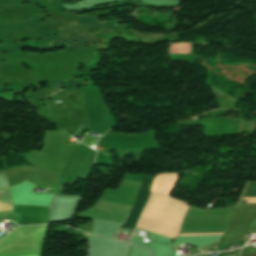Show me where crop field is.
I'll use <instances>...</instances> for the list:
<instances>
[{
    "label": "crop field",
    "mask_w": 256,
    "mask_h": 256,
    "mask_svg": "<svg viewBox=\"0 0 256 256\" xmlns=\"http://www.w3.org/2000/svg\"><path fill=\"white\" fill-rule=\"evenodd\" d=\"M150 179H151L150 176H146V175L143 176L142 184L138 191L132 210L126 220V223L122 225V227H131V228L135 227L138 217L140 215V212L143 209L144 204L146 202V198L148 194V185H149Z\"/></svg>",
    "instance_id": "8a807250"
},
{
    "label": "crop field",
    "mask_w": 256,
    "mask_h": 256,
    "mask_svg": "<svg viewBox=\"0 0 256 256\" xmlns=\"http://www.w3.org/2000/svg\"><path fill=\"white\" fill-rule=\"evenodd\" d=\"M170 56L172 60H186L191 62L192 61L191 44L189 43L171 44Z\"/></svg>",
    "instance_id": "ac0d7876"
},
{
    "label": "crop field",
    "mask_w": 256,
    "mask_h": 256,
    "mask_svg": "<svg viewBox=\"0 0 256 256\" xmlns=\"http://www.w3.org/2000/svg\"><path fill=\"white\" fill-rule=\"evenodd\" d=\"M225 228H181L180 233L224 232Z\"/></svg>",
    "instance_id": "34b2d1b8"
},
{
    "label": "crop field",
    "mask_w": 256,
    "mask_h": 256,
    "mask_svg": "<svg viewBox=\"0 0 256 256\" xmlns=\"http://www.w3.org/2000/svg\"><path fill=\"white\" fill-rule=\"evenodd\" d=\"M256 197V183H249L242 199ZM249 203H256V198H250Z\"/></svg>",
    "instance_id": "412701ff"
}]
</instances>
